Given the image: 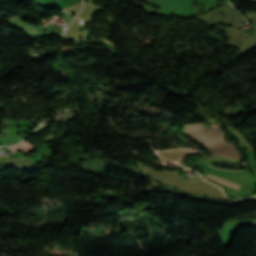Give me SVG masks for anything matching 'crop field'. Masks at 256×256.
I'll return each mask as SVG.
<instances>
[{"instance_id": "8a807250", "label": "crop field", "mask_w": 256, "mask_h": 256, "mask_svg": "<svg viewBox=\"0 0 256 256\" xmlns=\"http://www.w3.org/2000/svg\"><path fill=\"white\" fill-rule=\"evenodd\" d=\"M206 177H209L211 179H214V180H217L219 182H222V183H225L227 185H230V186H233V187H237L238 183L237 182H234V181H231L229 179H226V178H223V177H220V176H216V175H213V174H210V173H207V176Z\"/></svg>"}, {"instance_id": "ac0d7876", "label": "crop field", "mask_w": 256, "mask_h": 256, "mask_svg": "<svg viewBox=\"0 0 256 256\" xmlns=\"http://www.w3.org/2000/svg\"><path fill=\"white\" fill-rule=\"evenodd\" d=\"M46 125H48V124L44 123L41 127H39L37 130H35L33 133H37V132L41 131L42 129H44V127ZM33 133H31V134H33Z\"/></svg>"}, {"instance_id": "34b2d1b8", "label": "crop field", "mask_w": 256, "mask_h": 256, "mask_svg": "<svg viewBox=\"0 0 256 256\" xmlns=\"http://www.w3.org/2000/svg\"><path fill=\"white\" fill-rule=\"evenodd\" d=\"M176 150H185V149H176ZM176 150H171V151H176ZM187 151L195 152V151H192V150H187ZM195 153H198V152H195Z\"/></svg>"}, {"instance_id": "412701ff", "label": "crop field", "mask_w": 256, "mask_h": 256, "mask_svg": "<svg viewBox=\"0 0 256 256\" xmlns=\"http://www.w3.org/2000/svg\"><path fill=\"white\" fill-rule=\"evenodd\" d=\"M11 147H13V146H11Z\"/></svg>"}]
</instances>
